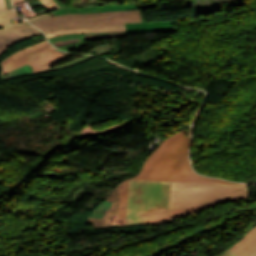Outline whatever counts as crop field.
Wrapping results in <instances>:
<instances>
[{
	"instance_id": "8a807250",
	"label": "crop field",
	"mask_w": 256,
	"mask_h": 256,
	"mask_svg": "<svg viewBox=\"0 0 256 256\" xmlns=\"http://www.w3.org/2000/svg\"><path fill=\"white\" fill-rule=\"evenodd\" d=\"M185 132L186 128L165 139L145 161L139 175L130 179L234 183L202 177L192 170L188 157L190 137H185Z\"/></svg>"
},
{
	"instance_id": "ac0d7876",
	"label": "crop field",
	"mask_w": 256,
	"mask_h": 256,
	"mask_svg": "<svg viewBox=\"0 0 256 256\" xmlns=\"http://www.w3.org/2000/svg\"><path fill=\"white\" fill-rule=\"evenodd\" d=\"M247 195L245 184L172 182L170 209L141 215L145 223L153 225L180 214L171 211L217 200Z\"/></svg>"
},
{
	"instance_id": "34b2d1b8",
	"label": "crop field",
	"mask_w": 256,
	"mask_h": 256,
	"mask_svg": "<svg viewBox=\"0 0 256 256\" xmlns=\"http://www.w3.org/2000/svg\"><path fill=\"white\" fill-rule=\"evenodd\" d=\"M171 182L129 180L128 224L143 222L139 214L169 208Z\"/></svg>"
},
{
	"instance_id": "412701ff",
	"label": "crop field",
	"mask_w": 256,
	"mask_h": 256,
	"mask_svg": "<svg viewBox=\"0 0 256 256\" xmlns=\"http://www.w3.org/2000/svg\"><path fill=\"white\" fill-rule=\"evenodd\" d=\"M139 5L141 10L53 16L32 24L46 32L69 26L143 22L145 21L143 9L157 8V2Z\"/></svg>"
},
{
	"instance_id": "f4fd0767",
	"label": "crop field",
	"mask_w": 256,
	"mask_h": 256,
	"mask_svg": "<svg viewBox=\"0 0 256 256\" xmlns=\"http://www.w3.org/2000/svg\"><path fill=\"white\" fill-rule=\"evenodd\" d=\"M128 191V179L116 187L110 194L107 201L112 202L107 213L102 219H88L87 222H94L93 227L117 226L127 224L126 201Z\"/></svg>"
},
{
	"instance_id": "dd49c442",
	"label": "crop field",
	"mask_w": 256,
	"mask_h": 256,
	"mask_svg": "<svg viewBox=\"0 0 256 256\" xmlns=\"http://www.w3.org/2000/svg\"><path fill=\"white\" fill-rule=\"evenodd\" d=\"M54 49L56 48L52 47L48 40H46L29 48L18 51L1 63L3 66L2 75L20 68L42 56L52 53L55 51Z\"/></svg>"
},
{
	"instance_id": "e52e79f7",
	"label": "crop field",
	"mask_w": 256,
	"mask_h": 256,
	"mask_svg": "<svg viewBox=\"0 0 256 256\" xmlns=\"http://www.w3.org/2000/svg\"><path fill=\"white\" fill-rule=\"evenodd\" d=\"M140 9L138 4H113L105 6H95L86 8H65L54 11L55 15L69 14V13H92V12H106L119 10Z\"/></svg>"
},
{
	"instance_id": "d8731c3e",
	"label": "crop field",
	"mask_w": 256,
	"mask_h": 256,
	"mask_svg": "<svg viewBox=\"0 0 256 256\" xmlns=\"http://www.w3.org/2000/svg\"><path fill=\"white\" fill-rule=\"evenodd\" d=\"M42 34L35 27H27L16 31L9 32L0 36V55L9 48L12 44L32 36Z\"/></svg>"
},
{
	"instance_id": "5a996713",
	"label": "crop field",
	"mask_w": 256,
	"mask_h": 256,
	"mask_svg": "<svg viewBox=\"0 0 256 256\" xmlns=\"http://www.w3.org/2000/svg\"><path fill=\"white\" fill-rule=\"evenodd\" d=\"M84 35H85V38L69 39V40L54 42L52 44L60 49H63V48L70 47V46L80 44V43H83L85 41H90V40H101V39H107V38L127 37L126 31L91 33V34H84Z\"/></svg>"
},
{
	"instance_id": "3316defc",
	"label": "crop field",
	"mask_w": 256,
	"mask_h": 256,
	"mask_svg": "<svg viewBox=\"0 0 256 256\" xmlns=\"http://www.w3.org/2000/svg\"><path fill=\"white\" fill-rule=\"evenodd\" d=\"M174 21L166 22H153V23H134V24H125L127 29V34L129 33H139V32H155V31H171L178 30L177 27H174Z\"/></svg>"
},
{
	"instance_id": "28ad6ade",
	"label": "crop field",
	"mask_w": 256,
	"mask_h": 256,
	"mask_svg": "<svg viewBox=\"0 0 256 256\" xmlns=\"http://www.w3.org/2000/svg\"><path fill=\"white\" fill-rule=\"evenodd\" d=\"M231 249L240 256H256V227L250 229Z\"/></svg>"
},
{
	"instance_id": "d1516ede",
	"label": "crop field",
	"mask_w": 256,
	"mask_h": 256,
	"mask_svg": "<svg viewBox=\"0 0 256 256\" xmlns=\"http://www.w3.org/2000/svg\"><path fill=\"white\" fill-rule=\"evenodd\" d=\"M119 30H125V28L124 27H114V28L79 29V30H71V31H64V32L49 34V35H47V37H48V39H50L53 37L70 34V33H91V32H105V31H119Z\"/></svg>"
},
{
	"instance_id": "22f410ed",
	"label": "crop field",
	"mask_w": 256,
	"mask_h": 256,
	"mask_svg": "<svg viewBox=\"0 0 256 256\" xmlns=\"http://www.w3.org/2000/svg\"><path fill=\"white\" fill-rule=\"evenodd\" d=\"M245 197H247V196H245ZM245 197H240V198H235V199H230V200H225V201L206 203V204H202V205H198V206H194V207H190V208L174 211L173 214L181 213L183 215V214H187V213H191V212L202 210L204 208L213 206L215 204H220V203H223V202H226V201H232V200H237V199H244Z\"/></svg>"
},
{
	"instance_id": "cbeb9de0",
	"label": "crop field",
	"mask_w": 256,
	"mask_h": 256,
	"mask_svg": "<svg viewBox=\"0 0 256 256\" xmlns=\"http://www.w3.org/2000/svg\"><path fill=\"white\" fill-rule=\"evenodd\" d=\"M36 69L29 63L28 65L20 68V69H17L13 72H10L4 76H2L1 80H4V79H10L12 77H18V76H22V75H29L31 74V72H35Z\"/></svg>"
},
{
	"instance_id": "5142ce71",
	"label": "crop field",
	"mask_w": 256,
	"mask_h": 256,
	"mask_svg": "<svg viewBox=\"0 0 256 256\" xmlns=\"http://www.w3.org/2000/svg\"><path fill=\"white\" fill-rule=\"evenodd\" d=\"M93 56H94V55H86V56H84V57H81V58H78V59H76V60L70 61V62H68V63L62 64V65H60V66H56V67L49 68V69H46V70H43V71H39V72L50 71V70H55V69H59V68L68 67V66L77 64V63H79V62H82V61H84V60H87V59H89V58H91V57H93ZM36 73H38V72H36Z\"/></svg>"
},
{
	"instance_id": "d9b57169",
	"label": "crop field",
	"mask_w": 256,
	"mask_h": 256,
	"mask_svg": "<svg viewBox=\"0 0 256 256\" xmlns=\"http://www.w3.org/2000/svg\"><path fill=\"white\" fill-rule=\"evenodd\" d=\"M30 25L31 24H29L27 21H24V22H20L18 24H15V25L0 28V35L5 34L9 31L16 30V29L23 28V27L30 26Z\"/></svg>"
},
{
	"instance_id": "733c2abd",
	"label": "crop field",
	"mask_w": 256,
	"mask_h": 256,
	"mask_svg": "<svg viewBox=\"0 0 256 256\" xmlns=\"http://www.w3.org/2000/svg\"><path fill=\"white\" fill-rule=\"evenodd\" d=\"M114 26H124V24H116V25H99V26H81V27H69V28L57 29V30H55V31H51V32H46L45 34H48V33H54V32L63 31V30L78 29V28L114 27Z\"/></svg>"
},
{
	"instance_id": "4a817a6b",
	"label": "crop field",
	"mask_w": 256,
	"mask_h": 256,
	"mask_svg": "<svg viewBox=\"0 0 256 256\" xmlns=\"http://www.w3.org/2000/svg\"><path fill=\"white\" fill-rule=\"evenodd\" d=\"M44 5L49 9L58 8V6L52 0H41Z\"/></svg>"
},
{
	"instance_id": "bc2a9ffb",
	"label": "crop field",
	"mask_w": 256,
	"mask_h": 256,
	"mask_svg": "<svg viewBox=\"0 0 256 256\" xmlns=\"http://www.w3.org/2000/svg\"><path fill=\"white\" fill-rule=\"evenodd\" d=\"M219 256H239L237 255L235 252H233L231 249H229L228 251L226 252H223L221 255Z\"/></svg>"
},
{
	"instance_id": "214f88e0",
	"label": "crop field",
	"mask_w": 256,
	"mask_h": 256,
	"mask_svg": "<svg viewBox=\"0 0 256 256\" xmlns=\"http://www.w3.org/2000/svg\"><path fill=\"white\" fill-rule=\"evenodd\" d=\"M53 15H54L53 12H51V13H48V14H45V15H42V16L30 19L29 21L32 22V21H35V20H38V19H42V18L53 16Z\"/></svg>"
},
{
	"instance_id": "92a150f3",
	"label": "crop field",
	"mask_w": 256,
	"mask_h": 256,
	"mask_svg": "<svg viewBox=\"0 0 256 256\" xmlns=\"http://www.w3.org/2000/svg\"><path fill=\"white\" fill-rule=\"evenodd\" d=\"M38 1H39V3H40L48 12H50V11L42 4V2H41L40 0H38ZM54 2H55L60 8L68 7V6H66V5H63V4L59 3L57 0H54ZM51 11H52V10H51Z\"/></svg>"
},
{
	"instance_id": "dafd665d",
	"label": "crop field",
	"mask_w": 256,
	"mask_h": 256,
	"mask_svg": "<svg viewBox=\"0 0 256 256\" xmlns=\"http://www.w3.org/2000/svg\"><path fill=\"white\" fill-rule=\"evenodd\" d=\"M84 46H86V43L76 45V46H73V47H70V48H66V49H63V50L70 51V50H74V49L81 48V47H84Z\"/></svg>"
},
{
	"instance_id": "00972430",
	"label": "crop field",
	"mask_w": 256,
	"mask_h": 256,
	"mask_svg": "<svg viewBox=\"0 0 256 256\" xmlns=\"http://www.w3.org/2000/svg\"><path fill=\"white\" fill-rule=\"evenodd\" d=\"M5 4H6L8 10L13 9V6H12V3L10 0H5Z\"/></svg>"
},
{
	"instance_id": "a9b5d70f",
	"label": "crop field",
	"mask_w": 256,
	"mask_h": 256,
	"mask_svg": "<svg viewBox=\"0 0 256 256\" xmlns=\"http://www.w3.org/2000/svg\"><path fill=\"white\" fill-rule=\"evenodd\" d=\"M7 10L3 0H0V11Z\"/></svg>"
},
{
	"instance_id": "4177f3b9",
	"label": "crop field",
	"mask_w": 256,
	"mask_h": 256,
	"mask_svg": "<svg viewBox=\"0 0 256 256\" xmlns=\"http://www.w3.org/2000/svg\"><path fill=\"white\" fill-rule=\"evenodd\" d=\"M75 36H83V35H75ZM68 37H72V36H68ZM61 38H66V37H61ZM56 39H60V38H56ZM51 40H55V39H51ZM49 40V41H51Z\"/></svg>"
},
{
	"instance_id": "730fd06b",
	"label": "crop field",
	"mask_w": 256,
	"mask_h": 256,
	"mask_svg": "<svg viewBox=\"0 0 256 256\" xmlns=\"http://www.w3.org/2000/svg\"><path fill=\"white\" fill-rule=\"evenodd\" d=\"M22 1H24V0H13V3L15 4V3H18V2H22Z\"/></svg>"
},
{
	"instance_id": "eef30255",
	"label": "crop field",
	"mask_w": 256,
	"mask_h": 256,
	"mask_svg": "<svg viewBox=\"0 0 256 256\" xmlns=\"http://www.w3.org/2000/svg\"><path fill=\"white\" fill-rule=\"evenodd\" d=\"M162 141H163V140H161V141L155 143L154 145L158 146Z\"/></svg>"
},
{
	"instance_id": "ae1a2a85",
	"label": "crop field",
	"mask_w": 256,
	"mask_h": 256,
	"mask_svg": "<svg viewBox=\"0 0 256 256\" xmlns=\"http://www.w3.org/2000/svg\"><path fill=\"white\" fill-rule=\"evenodd\" d=\"M73 38H78V37H73ZM66 39H69V38H66ZM60 40H64V39H60ZM56 41H58V40H56ZM53 42V41H52ZM51 43V42H50Z\"/></svg>"
}]
</instances>
